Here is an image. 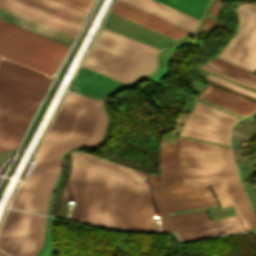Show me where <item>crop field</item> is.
Segmentation results:
<instances>
[{
    "label": "crop field",
    "mask_w": 256,
    "mask_h": 256,
    "mask_svg": "<svg viewBox=\"0 0 256 256\" xmlns=\"http://www.w3.org/2000/svg\"><path fill=\"white\" fill-rule=\"evenodd\" d=\"M176 168L160 167L161 194L168 212L216 204L232 205L243 228L256 217L237 177L230 151L177 140Z\"/></svg>",
    "instance_id": "ac0d7876"
},
{
    "label": "crop field",
    "mask_w": 256,
    "mask_h": 256,
    "mask_svg": "<svg viewBox=\"0 0 256 256\" xmlns=\"http://www.w3.org/2000/svg\"><path fill=\"white\" fill-rule=\"evenodd\" d=\"M237 120L228 114L196 103L185 120L180 135L229 145L230 126Z\"/></svg>",
    "instance_id": "3316defc"
},
{
    "label": "crop field",
    "mask_w": 256,
    "mask_h": 256,
    "mask_svg": "<svg viewBox=\"0 0 256 256\" xmlns=\"http://www.w3.org/2000/svg\"><path fill=\"white\" fill-rule=\"evenodd\" d=\"M0 6L73 36L86 14L55 0H0Z\"/></svg>",
    "instance_id": "d8731c3e"
},
{
    "label": "crop field",
    "mask_w": 256,
    "mask_h": 256,
    "mask_svg": "<svg viewBox=\"0 0 256 256\" xmlns=\"http://www.w3.org/2000/svg\"><path fill=\"white\" fill-rule=\"evenodd\" d=\"M158 52L103 27L82 65L129 84L156 70Z\"/></svg>",
    "instance_id": "f4fd0767"
},
{
    "label": "crop field",
    "mask_w": 256,
    "mask_h": 256,
    "mask_svg": "<svg viewBox=\"0 0 256 256\" xmlns=\"http://www.w3.org/2000/svg\"><path fill=\"white\" fill-rule=\"evenodd\" d=\"M59 1H62L64 3H67L69 5H72L76 8H79L87 12L93 0H59Z\"/></svg>",
    "instance_id": "dafd665d"
},
{
    "label": "crop field",
    "mask_w": 256,
    "mask_h": 256,
    "mask_svg": "<svg viewBox=\"0 0 256 256\" xmlns=\"http://www.w3.org/2000/svg\"><path fill=\"white\" fill-rule=\"evenodd\" d=\"M110 11L129 20H132L140 25H143L151 30H154L162 35L169 36V38L173 40L179 39L190 33L184 29L174 26L120 1L115 2L111 6Z\"/></svg>",
    "instance_id": "28ad6ade"
},
{
    "label": "crop field",
    "mask_w": 256,
    "mask_h": 256,
    "mask_svg": "<svg viewBox=\"0 0 256 256\" xmlns=\"http://www.w3.org/2000/svg\"><path fill=\"white\" fill-rule=\"evenodd\" d=\"M0 18L70 46L73 36L0 7Z\"/></svg>",
    "instance_id": "cbeb9de0"
},
{
    "label": "crop field",
    "mask_w": 256,
    "mask_h": 256,
    "mask_svg": "<svg viewBox=\"0 0 256 256\" xmlns=\"http://www.w3.org/2000/svg\"><path fill=\"white\" fill-rule=\"evenodd\" d=\"M128 4H131L137 8H140L148 13H151L159 18H162L170 23H173L179 27H182L190 32H193L194 30H196L197 26L184 20L181 19L169 12H166L158 7H155L147 2H144L142 0H122Z\"/></svg>",
    "instance_id": "5142ce71"
},
{
    "label": "crop field",
    "mask_w": 256,
    "mask_h": 256,
    "mask_svg": "<svg viewBox=\"0 0 256 256\" xmlns=\"http://www.w3.org/2000/svg\"><path fill=\"white\" fill-rule=\"evenodd\" d=\"M205 23L208 24V25H210V26H212V27H214V25H215V23H216V20H214V19H212V18H210V17H207V20H206Z\"/></svg>",
    "instance_id": "4177f3b9"
},
{
    "label": "crop field",
    "mask_w": 256,
    "mask_h": 256,
    "mask_svg": "<svg viewBox=\"0 0 256 256\" xmlns=\"http://www.w3.org/2000/svg\"><path fill=\"white\" fill-rule=\"evenodd\" d=\"M198 98L223 106L244 116L256 110V103L209 85L202 93L198 95Z\"/></svg>",
    "instance_id": "22f410ed"
},
{
    "label": "crop field",
    "mask_w": 256,
    "mask_h": 256,
    "mask_svg": "<svg viewBox=\"0 0 256 256\" xmlns=\"http://www.w3.org/2000/svg\"><path fill=\"white\" fill-rule=\"evenodd\" d=\"M212 61L217 62V63H220V64L225 65V66H227V67L233 68V69L238 70V71H240V72H243V73H245V74L251 75V76H253V77H256V75L252 74L251 72H249V71H247V70H245V69H242V68H240V67H237V66H234V65H232V64L226 63V62H224V61L218 60V59H216V58L212 59Z\"/></svg>",
    "instance_id": "00972430"
},
{
    "label": "crop field",
    "mask_w": 256,
    "mask_h": 256,
    "mask_svg": "<svg viewBox=\"0 0 256 256\" xmlns=\"http://www.w3.org/2000/svg\"><path fill=\"white\" fill-rule=\"evenodd\" d=\"M178 139H181V138H178ZM181 140H186V141H190V142L200 143V142H196V141H192V140H187V139H181ZM200 144H204V143H200ZM204 145H208V144H204ZM208 146H212V145H208ZM212 147L222 148V147H217V146H212ZM222 149H227V148H222ZM228 150H230V149H228Z\"/></svg>",
    "instance_id": "730fd06b"
},
{
    "label": "crop field",
    "mask_w": 256,
    "mask_h": 256,
    "mask_svg": "<svg viewBox=\"0 0 256 256\" xmlns=\"http://www.w3.org/2000/svg\"><path fill=\"white\" fill-rule=\"evenodd\" d=\"M68 46L0 19V55L52 75Z\"/></svg>",
    "instance_id": "dd49c442"
},
{
    "label": "crop field",
    "mask_w": 256,
    "mask_h": 256,
    "mask_svg": "<svg viewBox=\"0 0 256 256\" xmlns=\"http://www.w3.org/2000/svg\"><path fill=\"white\" fill-rule=\"evenodd\" d=\"M170 217L175 227L210 220L206 211L178 214Z\"/></svg>",
    "instance_id": "4a817a6b"
},
{
    "label": "crop field",
    "mask_w": 256,
    "mask_h": 256,
    "mask_svg": "<svg viewBox=\"0 0 256 256\" xmlns=\"http://www.w3.org/2000/svg\"><path fill=\"white\" fill-rule=\"evenodd\" d=\"M51 81L12 61L0 62V151L18 146Z\"/></svg>",
    "instance_id": "412701ff"
},
{
    "label": "crop field",
    "mask_w": 256,
    "mask_h": 256,
    "mask_svg": "<svg viewBox=\"0 0 256 256\" xmlns=\"http://www.w3.org/2000/svg\"><path fill=\"white\" fill-rule=\"evenodd\" d=\"M219 0L214 2L211 7L209 13L213 14L214 16L217 15V9H218Z\"/></svg>",
    "instance_id": "a9b5d70f"
},
{
    "label": "crop field",
    "mask_w": 256,
    "mask_h": 256,
    "mask_svg": "<svg viewBox=\"0 0 256 256\" xmlns=\"http://www.w3.org/2000/svg\"><path fill=\"white\" fill-rule=\"evenodd\" d=\"M106 125L102 102L69 93L36 153L30 178L19 187L12 207L46 215L62 154L73 147L99 144Z\"/></svg>",
    "instance_id": "34b2d1b8"
},
{
    "label": "crop field",
    "mask_w": 256,
    "mask_h": 256,
    "mask_svg": "<svg viewBox=\"0 0 256 256\" xmlns=\"http://www.w3.org/2000/svg\"><path fill=\"white\" fill-rule=\"evenodd\" d=\"M236 13L237 33L216 58L256 72V5L240 4Z\"/></svg>",
    "instance_id": "5a996713"
},
{
    "label": "crop field",
    "mask_w": 256,
    "mask_h": 256,
    "mask_svg": "<svg viewBox=\"0 0 256 256\" xmlns=\"http://www.w3.org/2000/svg\"><path fill=\"white\" fill-rule=\"evenodd\" d=\"M73 169L66 184L64 201H76L70 214L75 220L116 230L175 232L180 240L242 231L236 215L174 228L160 194L158 178L79 152L71 153Z\"/></svg>",
    "instance_id": "8a807250"
},
{
    "label": "crop field",
    "mask_w": 256,
    "mask_h": 256,
    "mask_svg": "<svg viewBox=\"0 0 256 256\" xmlns=\"http://www.w3.org/2000/svg\"><path fill=\"white\" fill-rule=\"evenodd\" d=\"M0 256H8V255L5 254L4 252L0 251Z\"/></svg>",
    "instance_id": "eef30255"
},
{
    "label": "crop field",
    "mask_w": 256,
    "mask_h": 256,
    "mask_svg": "<svg viewBox=\"0 0 256 256\" xmlns=\"http://www.w3.org/2000/svg\"><path fill=\"white\" fill-rule=\"evenodd\" d=\"M124 85L125 84L123 83L81 67L77 72L70 89L88 96L102 99L107 92L120 88Z\"/></svg>",
    "instance_id": "d1516ede"
},
{
    "label": "crop field",
    "mask_w": 256,
    "mask_h": 256,
    "mask_svg": "<svg viewBox=\"0 0 256 256\" xmlns=\"http://www.w3.org/2000/svg\"><path fill=\"white\" fill-rule=\"evenodd\" d=\"M145 1H147V2H149L151 4H153V5H156V6L162 8L164 10H167V11H169V12L175 14V15H178V16L186 19V20H189V21H191V22H193L195 24H198V22H199L198 20H196V19H194V18H192L190 16H187V15H185V14L179 12V11H176V10H174V9L168 7V6H165V5H163V4L159 3V2H156L154 0H145Z\"/></svg>",
    "instance_id": "214f88e0"
},
{
    "label": "crop field",
    "mask_w": 256,
    "mask_h": 256,
    "mask_svg": "<svg viewBox=\"0 0 256 256\" xmlns=\"http://www.w3.org/2000/svg\"><path fill=\"white\" fill-rule=\"evenodd\" d=\"M254 180H256V178H254V179H252V180L248 181V183H250V182H252V181H254Z\"/></svg>",
    "instance_id": "ae1a2a85"
},
{
    "label": "crop field",
    "mask_w": 256,
    "mask_h": 256,
    "mask_svg": "<svg viewBox=\"0 0 256 256\" xmlns=\"http://www.w3.org/2000/svg\"><path fill=\"white\" fill-rule=\"evenodd\" d=\"M208 80H211V81H213V82L219 83V84H221V85L227 86V87H229V88H232V89H234V90H237V91H239V92H242V93H244V94H247V95H250V96L256 98V93H253V92L247 91V90H245V89L239 88V87H237V86H234V85H232V84H229V83H227V82H225V81H223V80H221V79H218V78H216V77H214V76H212V75L209 76Z\"/></svg>",
    "instance_id": "92a150f3"
},
{
    "label": "crop field",
    "mask_w": 256,
    "mask_h": 256,
    "mask_svg": "<svg viewBox=\"0 0 256 256\" xmlns=\"http://www.w3.org/2000/svg\"><path fill=\"white\" fill-rule=\"evenodd\" d=\"M196 19H200L209 0H157Z\"/></svg>",
    "instance_id": "d9b57169"
},
{
    "label": "crop field",
    "mask_w": 256,
    "mask_h": 256,
    "mask_svg": "<svg viewBox=\"0 0 256 256\" xmlns=\"http://www.w3.org/2000/svg\"><path fill=\"white\" fill-rule=\"evenodd\" d=\"M175 144L160 143V166L175 167Z\"/></svg>",
    "instance_id": "bc2a9ffb"
},
{
    "label": "crop field",
    "mask_w": 256,
    "mask_h": 256,
    "mask_svg": "<svg viewBox=\"0 0 256 256\" xmlns=\"http://www.w3.org/2000/svg\"><path fill=\"white\" fill-rule=\"evenodd\" d=\"M46 217L9 211L0 230V249L14 256H35L41 249Z\"/></svg>",
    "instance_id": "e52e79f7"
},
{
    "label": "crop field",
    "mask_w": 256,
    "mask_h": 256,
    "mask_svg": "<svg viewBox=\"0 0 256 256\" xmlns=\"http://www.w3.org/2000/svg\"><path fill=\"white\" fill-rule=\"evenodd\" d=\"M206 64H208V65H210V66H212V67H214V68H216V69H218V70H220V71H222V72L228 73V74H230V75H233V76H236V77H238V78H241V79H243V80H245V81L252 82V83H255V84H256V78H253V77H250V76H248V75L242 74V73H240V72H237V71L232 70V69H230V68L224 67V66L219 65V64H217V63H214V62H212V61H210V62H208V63H206ZM201 67H203V68H205V69H208V70H210V71H213V72H215V73H217V74H220V75H222V76H224V77H226V78H228V79H230V80H233V81H235V82H238V83H241V84H244V85H247V86L256 88L255 85H252V84H248V83L239 81V80H237V79H235V78H232V77H230V76H228V75H225V74H223V73H221V72H219V71H216V70H214V69H211V68L207 67L206 65H203V66H201Z\"/></svg>",
    "instance_id": "733c2abd"
}]
</instances>
